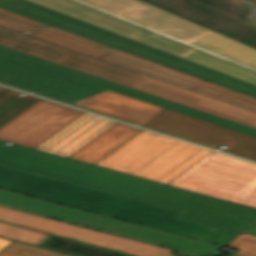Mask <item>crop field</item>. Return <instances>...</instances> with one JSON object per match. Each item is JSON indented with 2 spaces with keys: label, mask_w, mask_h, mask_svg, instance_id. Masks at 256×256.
Instances as JSON below:
<instances>
[{
  "label": "crop field",
  "mask_w": 256,
  "mask_h": 256,
  "mask_svg": "<svg viewBox=\"0 0 256 256\" xmlns=\"http://www.w3.org/2000/svg\"><path fill=\"white\" fill-rule=\"evenodd\" d=\"M250 1H252V2H255V3H256V0H250Z\"/></svg>",
  "instance_id": "bd1437ed"
},
{
  "label": "crop field",
  "mask_w": 256,
  "mask_h": 256,
  "mask_svg": "<svg viewBox=\"0 0 256 256\" xmlns=\"http://www.w3.org/2000/svg\"><path fill=\"white\" fill-rule=\"evenodd\" d=\"M256 84V72L73 0H31Z\"/></svg>",
  "instance_id": "3316defc"
},
{
  "label": "crop field",
  "mask_w": 256,
  "mask_h": 256,
  "mask_svg": "<svg viewBox=\"0 0 256 256\" xmlns=\"http://www.w3.org/2000/svg\"><path fill=\"white\" fill-rule=\"evenodd\" d=\"M144 125L162 107L142 102L109 90L72 103Z\"/></svg>",
  "instance_id": "733c2abd"
},
{
  "label": "crop field",
  "mask_w": 256,
  "mask_h": 256,
  "mask_svg": "<svg viewBox=\"0 0 256 256\" xmlns=\"http://www.w3.org/2000/svg\"><path fill=\"white\" fill-rule=\"evenodd\" d=\"M83 113L41 99L0 127V139L35 148Z\"/></svg>",
  "instance_id": "5142ce71"
},
{
  "label": "crop field",
  "mask_w": 256,
  "mask_h": 256,
  "mask_svg": "<svg viewBox=\"0 0 256 256\" xmlns=\"http://www.w3.org/2000/svg\"><path fill=\"white\" fill-rule=\"evenodd\" d=\"M0 256H72L51 250L13 242L0 251Z\"/></svg>",
  "instance_id": "dafd665d"
},
{
  "label": "crop field",
  "mask_w": 256,
  "mask_h": 256,
  "mask_svg": "<svg viewBox=\"0 0 256 256\" xmlns=\"http://www.w3.org/2000/svg\"><path fill=\"white\" fill-rule=\"evenodd\" d=\"M218 254H223V253H219V252H217ZM223 255H226V256H231V255H227V254H223Z\"/></svg>",
  "instance_id": "750c4746"
},
{
  "label": "crop field",
  "mask_w": 256,
  "mask_h": 256,
  "mask_svg": "<svg viewBox=\"0 0 256 256\" xmlns=\"http://www.w3.org/2000/svg\"><path fill=\"white\" fill-rule=\"evenodd\" d=\"M0 220L139 256H174L172 249L0 206Z\"/></svg>",
  "instance_id": "22f410ed"
},
{
  "label": "crop field",
  "mask_w": 256,
  "mask_h": 256,
  "mask_svg": "<svg viewBox=\"0 0 256 256\" xmlns=\"http://www.w3.org/2000/svg\"><path fill=\"white\" fill-rule=\"evenodd\" d=\"M20 194L0 190V205L8 207Z\"/></svg>",
  "instance_id": "a9b5d70f"
},
{
  "label": "crop field",
  "mask_w": 256,
  "mask_h": 256,
  "mask_svg": "<svg viewBox=\"0 0 256 256\" xmlns=\"http://www.w3.org/2000/svg\"><path fill=\"white\" fill-rule=\"evenodd\" d=\"M256 48V28L248 25L255 5L243 0H143Z\"/></svg>",
  "instance_id": "d1516ede"
},
{
  "label": "crop field",
  "mask_w": 256,
  "mask_h": 256,
  "mask_svg": "<svg viewBox=\"0 0 256 256\" xmlns=\"http://www.w3.org/2000/svg\"><path fill=\"white\" fill-rule=\"evenodd\" d=\"M256 69V49L140 0H80Z\"/></svg>",
  "instance_id": "d8731c3e"
},
{
  "label": "crop field",
  "mask_w": 256,
  "mask_h": 256,
  "mask_svg": "<svg viewBox=\"0 0 256 256\" xmlns=\"http://www.w3.org/2000/svg\"><path fill=\"white\" fill-rule=\"evenodd\" d=\"M211 151L143 130L96 165L167 184Z\"/></svg>",
  "instance_id": "e52e79f7"
},
{
  "label": "crop field",
  "mask_w": 256,
  "mask_h": 256,
  "mask_svg": "<svg viewBox=\"0 0 256 256\" xmlns=\"http://www.w3.org/2000/svg\"><path fill=\"white\" fill-rule=\"evenodd\" d=\"M0 140V164L183 211L177 218L218 228L203 240L225 244L256 209Z\"/></svg>",
  "instance_id": "8a807250"
},
{
  "label": "crop field",
  "mask_w": 256,
  "mask_h": 256,
  "mask_svg": "<svg viewBox=\"0 0 256 256\" xmlns=\"http://www.w3.org/2000/svg\"><path fill=\"white\" fill-rule=\"evenodd\" d=\"M244 233L256 235V222H254Z\"/></svg>",
  "instance_id": "4177f3b9"
},
{
  "label": "crop field",
  "mask_w": 256,
  "mask_h": 256,
  "mask_svg": "<svg viewBox=\"0 0 256 256\" xmlns=\"http://www.w3.org/2000/svg\"><path fill=\"white\" fill-rule=\"evenodd\" d=\"M249 24L256 27V9Z\"/></svg>",
  "instance_id": "eef30255"
},
{
  "label": "crop field",
  "mask_w": 256,
  "mask_h": 256,
  "mask_svg": "<svg viewBox=\"0 0 256 256\" xmlns=\"http://www.w3.org/2000/svg\"><path fill=\"white\" fill-rule=\"evenodd\" d=\"M141 130L142 129L117 122L72 154L69 158L95 164Z\"/></svg>",
  "instance_id": "4a817a6b"
},
{
  "label": "crop field",
  "mask_w": 256,
  "mask_h": 256,
  "mask_svg": "<svg viewBox=\"0 0 256 256\" xmlns=\"http://www.w3.org/2000/svg\"><path fill=\"white\" fill-rule=\"evenodd\" d=\"M115 122L85 113L36 149L68 157Z\"/></svg>",
  "instance_id": "d9b57169"
},
{
  "label": "crop field",
  "mask_w": 256,
  "mask_h": 256,
  "mask_svg": "<svg viewBox=\"0 0 256 256\" xmlns=\"http://www.w3.org/2000/svg\"><path fill=\"white\" fill-rule=\"evenodd\" d=\"M0 82L72 103L109 89L256 137V128L0 45Z\"/></svg>",
  "instance_id": "ac0d7876"
},
{
  "label": "crop field",
  "mask_w": 256,
  "mask_h": 256,
  "mask_svg": "<svg viewBox=\"0 0 256 256\" xmlns=\"http://www.w3.org/2000/svg\"><path fill=\"white\" fill-rule=\"evenodd\" d=\"M38 246L78 256H130L49 235Z\"/></svg>",
  "instance_id": "bc2a9ffb"
},
{
  "label": "crop field",
  "mask_w": 256,
  "mask_h": 256,
  "mask_svg": "<svg viewBox=\"0 0 256 256\" xmlns=\"http://www.w3.org/2000/svg\"><path fill=\"white\" fill-rule=\"evenodd\" d=\"M227 245L240 248L235 256H256V236L242 233Z\"/></svg>",
  "instance_id": "00972430"
},
{
  "label": "crop field",
  "mask_w": 256,
  "mask_h": 256,
  "mask_svg": "<svg viewBox=\"0 0 256 256\" xmlns=\"http://www.w3.org/2000/svg\"><path fill=\"white\" fill-rule=\"evenodd\" d=\"M8 89L0 95V126L23 112L40 98Z\"/></svg>",
  "instance_id": "214f88e0"
},
{
  "label": "crop field",
  "mask_w": 256,
  "mask_h": 256,
  "mask_svg": "<svg viewBox=\"0 0 256 256\" xmlns=\"http://www.w3.org/2000/svg\"><path fill=\"white\" fill-rule=\"evenodd\" d=\"M0 25L256 111V98L0 8Z\"/></svg>",
  "instance_id": "f4fd0767"
},
{
  "label": "crop field",
  "mask_w": 256,
  "mask_h": 256,
  "mask_svg": "<svg viewBox=\"0 0 256 256\" xmlns=\"http://www.w3.org/2000/svg\"><path fill=\"white\" fill-rule=\"evenodd\" d=\"M0 7L115 47L158 64L256 97V85L28 0H0Z\"/></svg>",
  "instance_id": "dd49c442"
},
{
  "label": "crop field",
  "mask_w": 256,
  "mask_h": 256,
  "mask_svg": "<svg viewBox=\"0 0 256 256\" xmlns=\"http://www.w3.org/2000/svg\"><path fill=\"white\" fill-rule=\"evenodd\" d=\"M168 185L256 208V164L215 151Z\"/></svg>",
  "instance_id": "5a996713"
},
{
  "label": "crop field",
  "mask_w": 256,
  "mask_h": 256,
  "mask_svg": "<svg viewBox=\"0 0 256 256\" xmlns=\"http://www.w3.org/2000/svg\"><path fill=\"white\" fill-rule=\"evenodd\" d=\"M9 207L174 248L193 256H207L215 247V244L23 195Z\"/></svg>",
  "instance_id": "28ad6ade"
},
{
  "label": "crop field",
  "mask_w": 256,
  "mask_h": 256,
  "mask_svg": "<svg viewBox=\"0 0 256 256\" xmlns=\"http://www.w3.org/2000/svg\"><path fill=\"white\" fill-rule=\"evenodd\" d=\"M175 254H176V256H190V255H188L186 253L179 252V251H177Z\"/></svg>",
  "instance_id": "ae1a2a85"
},
{
  "label": "crop field",
  "mask_w": 256,
  "mask_h": 256,
  "mask_svg": "<svg viewBox=\"0 0 256 256\" xmlns=\"http://www.w3.org/2000/svg\"><path fill=\"white\" fill-rule=\"evenodd\" d=\"M0 236L37 245L48 234L0 223Z\"/></svg>",
  "instance_id": "92a150f3"
},
{
  "label": "crop field",
  "mask_w": 256,
  "mask_h": 256,
  "mask_svg": "<svg viewBox=\"0 0 256 256\" xmlns=\"http://www.w3.org/2000/svg\"><path fill=\"white\" fill-rule=\"evenodd\" d=\"M0 44L256 127V113L0 26Z\"/></svg>",
  "instance_id": "412701ff"
},
{
  "label": "crop field",
  "mask_w": 256,
  "mask_h": 256,
  "mask_svg": "<svg viewBox=\"0 0 256 256\" xmlns=\"http://www.w3.org/2000/svg\"><path fill=\"white\" fill-rule=\"evenodd\" d=\"M145 126L256 159V138L163 108ZM221 144L229 146L224 149ZM211 146V147H212Z\"/></svg>",
  "instance_id": "cbeb9de0"
},
{
  "label": "crop field",
  "mask_w": 256,
  "mask_h": 256,
  "mask_svg": "<svg viewBox=\"0 0 256 256\" xmlns=\"http://www.w3.org/2000/svg\"><path fill=\"white\" fill-rule=\"evenodd\" d=\"M0 187L202 239L216 228L175 218L181 211L0 165Z\"/></svg>",
  "instance_id": "34b2d1b8"
},
{
  "label": "crop field",
  "mask_w": 256,
  "mask_h": 256,
  "mask_svg": "<svg viewBox=\"0 0 256 256\" xmlns=\"http://www.w3.org/2000/svg\"><path fill=\"white\" fill-rule=\"evenodd\" d=\"M6 88L0 87V93L4 91Z\"/></svg>",
  "instance_id": "d3111659"
},
{
  "label": "crop field",
  "mask_w": 256,
  "mask_h": 256,
  "mask_svg": "<svg viewBox=\"0 0 256 256\" xmlns=\"http://www.w3.org/2000/svg\"><path fill=\"white\" fill-rule=\"evenodd\" d=\"M11 242H12V241L0 239V250H2L4 247H6L7 245H9Z\"/></svg>",
  "instance_id": "730fd06b"
}]
</instances>
